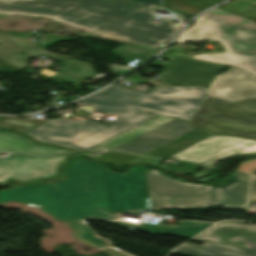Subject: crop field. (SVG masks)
Wrapping results in <instances>:
<instances>
[{"instance_id": "1", "label": "crop field", "mask_w": 256, "mask_h": 256, "mask_svg": "<svg viewBox=\"0 0 256 256\" xmlns=\"http://www.w3.org/2000/svg\"><path fill=\"white\" fill-rule=\"evenodd\" d=\"M61 176L60 181L2 190L0 202L11 200L42 205V211L57 220L68 222L78 241L112 252L115 249L106 247L109 240L89 228L84 219L107 220L151 234H173L186 238H192L213 225L185 221L171 228L115 216V213L124 212L139 215L149 209L146 170L142 165L132 166L130 173L119 174L112 173L97 162L74 157L63 168ZM77 228H82V231H75Z\"/></svg>"}, {"instance_id": "2", "label": "crop field", "mask_w": 256, "mask_h": 256, "mask_svg": "<svg viewBox=\"0 0 256 256\" xmlns=\"http://www.w3.org/2000/svg\"><path fill=\"white\" fill-rule=\"evenodd\" d=\"M130 97L139 99L132 100ZM203 99L204 89L201 88L156 86L144 93L111 86L81 101L82 104L95 106L94 111L116 115L118 119L111 126L91 120L70 121L61 118L44 122L26 135L40 142L74 150L87 149L157 115L190 121ZM147 111L154 114L147 115Z\"/></svg>"}, {"instance_id": "3", "label": "crop field", "mask_w": 256, "mask_h": 256, "mask_svg": "<svg viewBox=\"0 0 256 256\" xmlns=\"http://www.w3.org/2000/svg\"><path fill=\"white\" fill-rule=\"evenodd\" d=\"M160 0H0V10L62 15L61 19L76 25L111 32L127 37L131 42L158 47L169 43L180 27H174L170 18L158 24L150 22L151 12L139 10ZM157 5V4H156Z\"/></svg>"}, {"instance_id": "4", "label": "crop field", "mask_w": 256, "mask_h": 256, "mask_svg": "<svg viewBox=\"0 0 256 256\" xmlns=\"http://www.w3.org/2000/svg\"><path fill=\"white\" fill-rule=\"evenodd\" d=\"M256 159L242 162L235 173L239 181L225 188L174 180L156 170L147 171L150 209L194 208L218 204L248 207L256 202Z\"/></svg>"}, {"instance_id": "5", "label": "crop field", "mask_w": 256, "mask_h": 256, "mask_svg": "<svg viewBox=\"0 0 256 256\" xmlns=\"http://www.w3.org/2000/svg\"><path fill=\"white\" fill-rule=\"evenodd\" d=\"M201 39L218 41L226 51L188 55L189 58L236 66L256 75L255 21L216 7L202 14L174 43L182 45Z\"/></svg>"}, {"instance_id": "6", "label": "crop field", "mask_w": 256, "mask_h": 256, "mask_svg": "<svg viewBox=\"0 0 256 256\" xmlns=\"http://www.w3.org/2000/svg\"><path fill=\"white\" fill-rule=\"evenodd\" d=\"M192 123L211 133L256 138V100L229 105L206 100Z\"/></svg>"}, {"instance_id": "7", "label": "crop field", "mask_w": 256, "mask_h": 256, "mask_svg": "<svg viewBox=\"0 0 256 256\" xmlns=\"http://www.w3.org/2000/svg\"><path fill=\"white\" fill-rule=\"evenodd\" d=\"M71 154L50 156L14 155L0 159V184L10 180L28 182L39 179L55 178L59 168Z\"/></svg>"}, {"instance_id": "8", "label": "crop field", "mask_w": 256, "mask_h": 256, "mask_svg": "<svg viewBox=\"0 0 256 256\" xmlns=\"http://www.w3.org/2000/svg\"><path fill=\"white\" fill-rule=\"evenodd\" d=\"M41 54L53 57L55 59L67 62L58 72L65 73L85 80L97 70L92 69L91 65L84 62L72 60L69 58H60L48 54L38 48H35L17 38L0 32V59L23 70L27 67V61L30 58Z\"/></svg>"}, {"instance_id": "9", "label": "crop field", "mask_w": 256, "mask_h": 256, "mask_svg": "<svg viewBox=\"0 0 256 256\" xmlns=\"http://www.w3.org/2000/svg\"><path fill=\"white\" fill-rule=\"evenodd\" d=\"M230 150L242 154L256 153V141L212 135L168 158L195 162L201 165Z\"/></svg>"}, {"instance_id": "10", "label": "crop field", "mask_w": 256, "mask_h": 256, "mask_svg": "<svg viewBox=\"0 0 256 256\" xmlns=\"http://www.w3.org/2000/svg\"><path fill=\"white\" fill-rule=\"evenodd\" d=\"M207 95L224 102L256 97V76L233 67L215 76L208 86Z\"/></svg>"}, {"instance_id": "11", "label": "crop field", "mask_w": 256, "mask_h": 256, "mask_svg": "<svg viewBox=\"0 0 256 256\" xmlns=\"http://www.w3.org/2000/svg\"><path fill=\"white\" fill-rule=\"evenodd\" d=\"M220 68V65L177 57L164 69L167 73L160 84L208 86Z\"/></svg>"}, {"instance_id": "12", "label": "crop field", "mask_w": 256, "mask_h": 256, "mask_svg": "<svg viewBox=\"0 0 256 256\" xmlns=\"http://www.w3.org/2000/svg\"><path fill=\"white\" fill-rule=\"evenodd\" d=\"M198 127L175 119L117 149L115 151L144 155Z\"/></svg>"}, {"instance_id": "13", "label": "crop field", "mask_w": 256, "mask_h": 256, "mask_svg": "<svg viewBox=\"0 0 256 256\" xmlns=\"http://www.w3.org/2000/svg\"><path fill=\"white\" fill-rule=\"evenodd\" d=\"M200 237L256 250V225L221 223Z\"/></svg>"}, {"instance_id": "14", "label": "crop field", "mask_w": 256, "mask_h": 256, "mask_svg": "<svg viewBox=\"0 0 256 256\" xmlns=\"http://www.w3.org/2000/svg\"><path fill=\"white\" fill-rule=\"evenodd\" d=\"M203 245H185L173 252L188 256H256V251L197 237Z\"/></svg>"}, {"instance_id": "15", "label": "crop field", "mask_w": 256, "mask_h": 256, "mask_svg": "<svg viewBox=\"0 0 256 256\" xmlns=\"http://www.w3.org/2000/svg\"><path fill=\"white\" fill-rule=\"evenodd\" d=\"M0 150L25 154H50L69 151L50 146L38 145L10 132H0Z\"/></svg>"}, {"instance_id": "16", "label": "crop field", "mask_w": 256, "mask_h": 256, "mask_svg": "<svg viewBox=\"0 0 256 256\" xmlns=\"http://www.w3.org/2000/svg\"><path fill=\"white\" fill-rule=\"evenodd\" d=\"M174 119L173 117H166V116H157L135 128H132L121 135L103 143L98 146L93 147V149H108L112 150L170 120Z\"/></svg>"}, {"instance_id": "17", "label": "crop field", "mask_w": 256, "mask_h": 256, "mask_svg": "<svg viewBox=\"0 0 256 256\" xmlns=\"http://www.w3.org/2000/svg\"><path fill=\"white\" fill-rule=\"evenodd\" d=\"M212 134L198 128L148 154L146 156L166 158Z\"/></svg>"}, {"instance_id": "18", "label": "crop field", "mask_w": 256, "mask_h": 256, "mask_svg": "<svg viewBox=\"0 0 256 256\" xmlns=\"http://www.w3.org/2000/svg\"><path fill=\"white\" fill-rule=\"evenodd\" d=\"M218 7L256 20V0H233Z\"/></svg>"}, {"instance_id": "19", "label": "crop field", "mask_w": 256, "mask_h": 256, "mask_svg": "<svg viewBox=\"0 0 256 256\" xmlns=\"http://www.w3.org/2000/svg\"><path fill=\"white\" fill-rule=\"evenodd\" d=\"M165 7L178 10L187 14H195L211 5L197 0H163Z\"/></svg>"}, {"instance_id": "20", "label": "crop field", "mask_w": 256, "mask_h": 256, "mask_svg": "<svg viewBox=\"0 0 256 256\" xmlns=\"http://www.w3.org/2000/svg\"><path fill=\"white\" fill-rule=\"evenodd\" d=\"M160 50L161 49H154V48L131 43V44L119 46L114 51H112V53H116V54H120L128 57H136V56L144 55L146 57L151 58Z\"/></svg>"}, {"instance_id": "21", "label": "crop field", "mask_w": 256, "mask_h": 256, "mask_svg": "<svg viewBox=\"0 0 256 256\" xmlns=\"http://www.w3.org/2000/svg\"><path fill=\"white\" fill-rule=\"evenodd\" d=\"M20 119L21 118L7 117L4 120L0 121V126L15 129L25 134L42 122V121H33L31 119H24V120H20Z\"/></svg>"}, {"instance_id": "22", "label": "crop field", "mask_w": 256, "mask_h": 256, "mask_svg": "<svg viewBox=\"0 0 256 256\" xmlns=\"http://www.w3.org/2000/svg\"><path fill=\"white\" fill-rule=\"evenodd\" d=\"M136 157H138V155L109 152L99 158H96V159L97 160H108V161L114 163L116 166H120Z\"/></svg>"}, {"instance_id": "23", "label": "crop field", "mask_w": 256, "mask_h": 256, "mask_svg": "<svg viewBox=\"0 0 256 256\" xmlns=\"http://www.w3.org/2000/svg\"><path fill=\"white\" fill-rule=\"evenodd\" d=\"M0 13H15V12L0 11ZM22 14H25V13H22ZM30 15H35V14H30ZM38 16H44V17H49V18H53V19H56V20H60V19L57 18L58 16H48V15H38ZM60 21H63V20H60ZM63 22H65V21H63ZM66 23H68V22H66ZM68 24H71V23H68ZM71 25H73V24H71ZM74 26H76V25H74ZM77 27H80V26H77ZM80 28H83V29H85V30H87L89 32H92V33L102 34V35H106V36H109V37H113V38H117V39H121V40H126L127 41L126 38L118 37V36H115V35H113L111 33H103V32H99V31L88 29V28H84V27H80Z\"/></svg>"}, {"instance_id": "24", "label": "crop field", "mask_w": 256, "mask_h": 256, "mask_svg": "<svg viewBox=\"0 0 256 256\" xmlns=\"http://www.w3.org/2000/svg\"><path fill=\"white\" fill-rule=\"evenodd\" d=\"M135 161L156 164V163L162 161V159H156V158H150V157L141 156V157H139V158H137V159H135V160H133V161H131L129 163H133ZM129 163H127V164H129Z\"/></svg>"}, {"instance_id": "25", "label": "crop field", "mask_w": 256, "mask_h": 256, "mask_svg": "<svg viewBox=\"0 0 256 256\" xmlns=\"http://www.w3.org/2000/svg\"><path fill=\"white\" fill-rule=\"evenodd\" d=\"M108 247H112V248H115V247H113V246H111V241H110V243L107 245ZM117 249V248H116ZM106 252H108V251H106ZM110 255H112V256H132V255H130V254H127V253H125V252H123V251H121V250H117L116 252H114V253H112V252H108Z\"/></svg>"}, {"instance_id": "26", "label": "crop field", "mask_w": 256, "mask_h": 256, "mask_svg": "<svg viewBox=\"0 0 256 256\" xmlns=\"http://www.w3.org/2000/svg\"><path fill=\"white\" fill-rule=\"evenodd\" d=\"M200 1H203V2L211 4V5H215L223 0H200Z\"/></svg>"}, {"instance_id": "27", "label": "crop field", "mask_w": 256, "mask_h": 256, "mask_svg": "<svg viewBox=\"0 0 256 256\" xmlns=\"http://www.w3.org/2000/svg\"><path fill=\"white\" fill-rule=\"evenodd\" d=\"M144 10L151 11V12H153V13L155 14L154 5L148 7V8H146V9H144Z\"/></svg>"}, {"instance_id": "28", "label": "crop field", "mask_w": 256, "mask_h": 256, "mask_svg": "<svg viewBox=\"0 0 256 256\" xmlns=\"http://www.w3.org/2000/svg\"><path fill=\"white\" fill-rule=\"evenodd\" d=\"M4 119L3 117H0V120Z\"/></svg>"}]
</instances>
